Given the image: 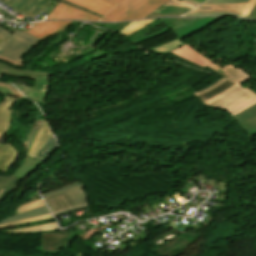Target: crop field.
Masks as SVG:
<instances>
[{"label": "crop field", "mask_w": 256, "mask_h": 256, "mask_svg": "<svg viewBox=\"0 0 256 256\" xmlns=\"http://www.w3.org/2000/svg\"><path fill=\"white\" fill-rule=\"evenodd\" d=\"M204 105L229 113L230 117L256 103V95L241 85L235 84L203 102Z\"/></svg>", "instance_id": "crop-field-1"}, {"label": "crop field", "mask_w": 256, "mask_h": 256, "mask_svg": "<svg viewBox=\"0 0 256 256\" xmlns=\"http://www.w3.org/2000/svg\"><path fill=\"white\" fill-rule=\"evenodd\" d=\"M119 5L101 21L142 19L167 0H108Z\"/></svg>", "instance_id": "crop-field-2"}, {"label": "crop field", "mask_w": 256, "mask_h": 256, "mask_svg": "<svg viewBox=\"0 0 256 256\" xmlns=\"http://www.w3.org/2000/svg\"><path fill=\"white\" fill-rule=\"evenodd\" d=\"M44 200L54 216L89 206L83 185L44 197Z\"/></svg>", "instance_id": "crop-field-3"}, {"label": "crop field", "mask_w": 256, "mask_h": 256, "mask_svg": "<svg viewBox=\"0 0 256 256\" xmlns=\"http://www.w3.org/2000/svg\"><path fill=\"white\" fill-rule=\"evenodd\" d=\"M171 52L180 57H183L193 63H196L204 68L207 66V67L219 72L227 79L232 80L237 83H241V82L253 77L249 73L243 71L241 68H239V67L235 68L234 66H232L230 64L227 65L226 67L220 69L215 64H213L210 60H208L207 58L202 56L200 53H198L197 51H195L193 48H191L188 45H184V46L177 48Z\"/></svg>", "instance_id": "crop-field-4"}, {"label": "crop field", "mask_w": 256, "mask_h": 256, "mask_svg": "<svg viewBox=\"0 0 256 256\" xmlns=\"http://www.w3.org/2000/svg\"><path fill=\"white\" fill-rule=\"evenodd\" d=\"M18 99L6 96L0 102V140L10 128V110L9 108ZM18 157V151L12 144L0 143V171L7 172L15 163Z\"/></svg>", "instance_id": "crop-field-5"}, {"label": "crop field", "mask_w": 256, "mask_h": 256, "mask_svg": "<svg viewBox=\"0 0 256 256\" xmlns=\"http://www.w3.org/2000/svg\"><path fill=\"white\" fill-rule=\"evenodd\" d=\"M41 41L17 30L6 42L0 44V56L23 63V55Z\"/></svg>", "instance_id": "crop-field-6"}, {"label": "crop field", "mask_w": 256, "mask_h": 256, "mask_svg": "<svg viewBox=\"0 0 256 256\" xmlns=\"http://www.w3.org/2000/svg\"><path fill=\"white\" fill-rule=\"evenodd\" d=\"M50 19H86L99 21L101 17L60 2V4L51 12L46 20Z\"/></svg>", "instance_id": "crop-field-7"}, {"label": "crop field", "mask_w": 256, "mask_h": 256, "mask_svg": "<svg viewBox=\"0 0 256 256\" xmlns=\"http://www.w3.org/2000/svg\"><path fill=\"white\" fill-rule=\"evenodd\" d=\"M71 23L72 21L41 22L34 25L25 33L42 41L45 38L56 34L59 29L64 31L65 29L69 28Z\"/></svg>", "instance_id": "crop-field-8"}, {"label": "crop field", "mask_w": 256, "mask_h": 256, "mask_svg": "<svg viewBox=\"0 0 256 256\" xmlns=\"http://www.w3.org/2000/svg\"><path fill=\"white\" fill-rule=\"evenodd\" d=\"M16 85V84H15ZM17 88L25 94L27 97L33 99L34 101L44 103L48 97V78L36 76V80L34 82L33 87L25 86V85H16Z\"/></svg>", "instance_id": "crop-field-9"}, {"label": "crop field", "mask_w": 256, "mask_h": 256, "mask_svg": "<svg viewBox=\"0 0 256 256\" xmlns=\"http://www.w3.org/2000/svg\"><path fill=\"white\" fill-rule=\"evenodd\" d=\"M232 119L249 138L256 135V104Z\"/></svg>", "instance_id": "crop-field-10"}, {"label": "crop field", "mask_w": 256, "mask_h": 256, "mask_svg": "<svg viewBox=\"0 0 256 256\" xmlns=\"http://www.w3.org/2000/svg\"><path fill=\"white\" fill-rule=\"evenodd\" d=\"M59 232L42 233L41 252L58 254L61 248H68L70 242L57 241Z\"/></svg>", "instance_id": "crop-field-11"}, {"label": "crop field", "mask_w": 256, "mask_h": 256, "mask_svg": "<svg viewBox=\"0 0 256 256\" xmlns=\"http://www.w3.org/2000/svg\"><path fill=\"white\" fill-rule=\"evenodd\" d=\"M223 17L219 18H202L178 31H175L176 35L179 39L183 40L207 27L214 24L218 20L222 19Z\"/></svg>", "instance_id": "crop-field-12"}, {"label": "crop field", "mask_w": 256, "mask_h": 256, "mask_svg": "<svg viewBox=\"0 0 256 256\" xmlns=\"http://www.w3.org/2000/svg\"><path fill=\"white\" fill-rule=\"evenodd\" d=\"M48 0H8L6 3L33 18Z\"/></svg>", "instance_id": "crop-field-13"}, {"label": "crop field", "mask_w": 256, "mask_h": 256, "mask_svg": "<svg viewBox=\"0 0 256 256\" xmlns=\"http://www.w3.org/2000/svg\"><path fill=\"white\" fill-rule=\"evenodd\" d=\"M71 3L81 5L95 13L105 15L108 13L115 5L108 3L104 0H66Z\"/></svg>", "instance_id": "crop-field-14"}, {"label": "crop field", "mask_w": 256, "mask_h": 256, "mask_svg": "<svg viewBox=\"0 0 256 256\" xmlns=\"http://www.w3.org/2000/svg\"><path fill=\"white\" fill-rule=\"evenodd\" d=\"M195 7L196 6L194 5H191L189 3H185L179 0H169L159 9H157L155 12L182 15Z\"/></svg>", "instance_id": "crop-field-15"}, {"label": "crop field", "mask_w": 256, "mask_h": 256, "mask_svg": "<svg viewBox=\"0 0 256 256\" xmlns=\"http://www.w3.org/2000/svg\"><path fill=\"white\" fill-rule=\"evenodd\" d=\"M51 134H52V132L49 129V127L44 119L32 145L29 149L30 151H29L28 155L35 158V156L38 154V152L43 147V145L46 143V141L51 136Z\"/></svg>", "instance_id": "crop-field-16"}, {"label": "crop field", "mask_w": 256, "mask_h": 256, "mask_svg": "<svg viewBox=\"0 0 256 256\" xmlns=\"http://www.w3.org/2000/svg\"><path fill=\"white\" fill-rule=\"evenodd\" d=\"M60 231L55 223V221L43 223L35 226H27L16 229H11L7 231H2V233H35V232H55Z\"/></svg>", "instance_id": "crop-field-17"}, {"label": "crop field", "mask_w": 256, "mask_h": 256, "mask_svg": "<svg viewBox=\"0 0 256 256\" xmlns=\"http://www.w3.org/2000/svg\"><path fill=\"white\" fill-rule=\"evenodd\" d=\"M247 4L237 5H213V6H200L199 8L192 11L193 13L202 12H234L242 14Z\"/></svg>", "instance_id": "crop-field-18"}, {"label": "crop field", "mask_w": 256, "mask_h": 256, "mask_svg": "<svg viewBox=\"0 0 256 256\" xmlns=\"http://www.w3.org/2000/svg\"><path fill=\"white\" fill-rule=\"evenodd\" d=\"M2 74L25 77L29 79H35V75H41V76H47V77L49 76V74L42 73V72H36V71H30V70H16L7 66L6 64L0 63V76Z\"/></svg>", "instance_id": "crop-field-19"}, {"label": "crop field", "mask_w": 256, "mask_h": 256, "mask_svg": "<svg viewBox=\"0 0 256 256\" xmlns=\"http://www.w3.org/2000/svg\"><path fill=\"white\" fill-rule=\"evenodd\" d=\"M20 181L13 176H0V201Z\"/></svg>", "instance_id": "crop-field-20"}, {"label": "crop field", "mask_w": 256, "mask_h": 256, "mask_svg": "<svg viewBox=\"0 0 256 256\" xmlns=\"http://www.w3.org/2000/svg\"><path fill=\"white\" fill-rule=\"evenodd\" d=\"M155 20L156 19L131 22L126 27H124L121 31H119V33L128 37V36L134 34L135 32H137L138 30L142 29L146 25L154 22Z\"/></svg>", "instance_id": "crop-field-21"}, {"label": "crop field", "mask_w": 256, "mask_h": 256, "mask_svg": "<svg viewBox=\"0 0 256 256\" xmlns=\"http://www.w3.org/2000/svg\"><path fill=\"white\" fill-rule=\"evenodd\" d=\"M58 149L57 144L53 137H50L44 147L41 149L39 154L37 155L36 159L40 161H44L48 158L54 151Z\"/></svg>", "instance_id": "crop-field-22"}, {"label": "crop field", "mask_w": 256, "mask_h": 256, "mask_svg": "<svg viewBox=\"0 0 256 256\" xmlns=\"http://www.w3.org/2000/svg\"><path fill=\"white\" fill-rule=\"evenodd\" d=\"M49 210L47 209L46 206L17 215V216H13V217H9V218H5L2 221H0V224L3 223H7V222H11V221H15V220H19V219H23V218H28V217H32V216H36V215H40V214H44V213H48Z\"/></svg>", "instance_id": "crop-field-23"}, {"label": "crop field", "mask_w": 256, "mask_h": 256, "mask_svg": "<svg viewBox=\"0 0 256 256\" xmlns=\"http://www.w3.org/2000/svg\"><path fill=\"white\" fill-rule=\"evenodd\" d=\"M182 45H184V44L181 42V40H179L177 38V39H174L170 42H167V43L161 44L159 46L150 48V50L158 52V53L163 55V54H165V53H167V52H169V51H171V50H173L177 47H180Z\"/></svg>", "instance_id": "crop-field-24"}, {"label": "crop field", "mask_w": 256, "mask_h": 256, "mask_svg": "<svg viewBox=\"0 0 256 256\" xmlns=\"http://www.w3.org/2000/svg\"><path fill=\"white\" fill-rule=\"evenodd\" d=\"M44 202L41 198L37 199V200H33L27 203H24L22 205H19V207L16 209V211L14 212V215L44 206Z\"/></svg>", "instance_id": "crop-field-25"}, {"label": "crop field", "mask_w": 256, "mask_h": 256, "mask_svg": "<svg viewBox=\"0 0 256 256\" xmlns=\"http://www.w3.org/2000/svg\"><path fill=\"white\" fill-rule=\"evenodd\" d=\"M47 219H52V216H51L50 213L44 214V215H40V216H36V217H32V218H28V219H24V220H19V221L7 223V224H3V225H0V228L20 225V224H25V223H29V222L47 220Z\"/></svg>", "instance_id": "crop-field-26"}, {"label": "crop field", "mask_w": 256, "mask_h": 256, "mask_svg": "<svg viewBox=\"0 0 256 256\" xmlns=\"http://www.w3.org/2000/svg\"><path fill=\"white\" fill-rule=\"evenodd\" d=\"M232 82V81H231ZM229 81L219 85L218 87H216L215 89H213L212 91L208 92V93H205L201 96H198L201 101L203 102L204 100H207L211 97H213L214 95H216L217 93H219L220 91L224 90L225 88L229 87L230 85L234 84V83H231Z\"/></svg>", "instance_id": "crop-field-27"}, {"label": "crop field", "mask_w": 256, "mask_h": 256, "mask_svg": "<svg viewBox=\"0 0 256 256\" xmlns=\"http://www.w3.org/2000/svg\"><path fill=\"white\" fill-rule=\"evenodd\" d=\"M0 92L5 94L15 95L17 97L26 98L22 96L20 92L17 91L12 84H9V83L0 82Z\"/></svg>", "instance_id": "crop-field-28"}, {"label": "crop field", "mask_w": 256, "mask_h": 256, "mask_svg": "<svg viewBox=\"0 0 256 256\" xmlns=\"http://www.w3.org/2000/svg\"><path fill=\"white\" fill-rule=\"evenodd\" d=\"M250 0H208L202 5L249 3Z\"/></svg>", "instance_id": "crop-field-29"}, {"label": "crop field", "mask_w": 256, "mask_h": 256, "mask_svg": "<svg viewBox=\"0 0 256 256\" xmlns=\"http://www.w3.org/2000/svg\"><path fill=\"white\" fill-rule=\"evenodd\" d=\"M169 31H171V29L168 27V28H166V29H164V30H161V31L156 32V33H154V34H151V35H149V36H147V37H144V38H142V39H139V40H137V41H134L133 43L138 44V43H141V42H143V41L149 40V39H151V38H153V37H155V36H158V35L167 33V32H169Z\"/></svg>", "instance_id": "crop-field-30"}, {"label": "crop field", "mask_w": 256, "mask_h": 256, "mask_svg": "<svg viewBox=\"0 0 256 256\" xmlns=\"http://www.w3.org/2000/svg\"><path fill=\"white\" fill-rule=\"evenodd\" d=\"M226 80H227V79H226ZM226 80H224V79L222 78V79H220L219 81L215 82L214 84H212V85H210V86H208V87L202 89L201 91H199V92H197V93H195V94H196V96H197V95H201V94H203V93H205V92H207V91H209V90L215 88L216 86H218L219 84L225 82Z\"/></svg>", "instance_id": "crop-field-31"}, {"label": "crop field", "mask_w": 256, "mask_h": 256, "mask_svg": "<svg viewBox=\"0 0 256 256\" xmlns=\"http://www.w3.org/2000/svg\"><path fill=\"white\" fill-rule=\"evenodd\" d=\"M203 15H230V16L240 17L239 14H234V13H202V14L188 13L184 16H203Z\"/></svg>", "instance_id": "crop-field-32"}, {"label": "crop field", "mask_w": 256, "mask_h": 256, "mask_svg": "<svg viewBox=\"0 0 256 256\" xmlns=\"http://www.w3.org/2000/svg\"><path fill=\"white\" fill-rule=\"evenodd\" d=\"M78 185H81V184L78 182V183H75V184H72V185H69V186L57 189L55 191H52V192H50L48 194L43 195L42 197L50 195V194H53V193H56V192H59V191H62V190H66V189H69V188H72V187H75V186H78Z\"/></svg>", "instance_id": "crop-field-33"}, {"label": "crop field", "mask_w": 256, "mask_h": 256, "mask_svg": "<svg viewBox=\"0 0 256 256\" xmlns=\"http://www.w3.org/2000/svg\"><path fill=\"white\" fill-rule=\"evenodd\" d=\"M256 2V0H251L250 3L248 4V6L246 7L245 11L243 12V14L241 15V17L245 18L246 15L248 14L249 10L251 9V7L254 5V3Z\"/></svg>", "instance_id": "crop-field-34"}, {"label": "crop field", "mask_w": 256, "mask_h": 256, "mask_svg": "<svg viewBox=\"0 0 256 256\" xmlns=\"http://www.w3.org/2000/svg\"><path fill=\"white\" fill-rule=\"evenodd\" d=\"M247 18L255 19L256 20V3L250 10L249 14L247 15Z\"/></svg>", "instance_id": "crop-field-35"}, {"label": "crop field", "mask_w": 256, "mask_h": 256, "mask_svg": "<svg viewBox=\"0 0 256 256\" xmlns=\"http://www.w3.org/2000/svg\"><path fill=\"white\" fill-rule=\"evenodd\" d=\"M9 35H10V33L5 31L4 29L0 28V39L2 41H4Z\"/></svg>", "instance_id": "crop-field-36"}, {"label": "crop field", "mask_w": 256, "mask_h": 256, "mask_svg": "<svg viewBox=\"0 0 256 256\" xmlns=\"http://www.w3.org/2000/svg\"><path fill=\"white\" fill-rule=\"evenodd\" d=\"M0 60L8 62V63H11V64H14V65H17V66H20V67L24 66L23 64H19V63L15 62V61H12V60H9V59L3 58V57H0Z\"/></svg>", "instance_id": "crop-field-37"}, {"label": "crop field", "mask_w": 256, "mask_h": 256, "mask_svg": "<svg viewBox=\"0 0 256 256\" xmlns=\"http://www.w3.org/2000/svg\"><path fill=\"white\" fill-rule=\"evenodd\" d=\"M59 1H62V2L67 3V4H70V5H72V6H75V7H77V8L82 9V10L88 11V12H90V13H93V12H91V11H89V10H86V9H84V8L78 6V5H74V4L68 3V2L63 1V0H59ZM93 14H95V13H93ZM95 15H98V14H95ZM98 16H100V15H98ZM101 17H103V16H101Z\"/></svg>", "instance_id": "crop-field-38"}, {"label": "crop field", "mask_w": 256, "mask_h": 256, "mask_svg": "<svg viewBox=\"0 0 256 256\" xmlns=\"http://www.w3.org/2000/svg\"><path fill=\"white\" fill-rule=\"evenodd\" d=\"M194 1H196V2H198V3H200V4H202L205 0H194Z\"/></svg>", "instance_id": "crop-field-39"}, {"label": "crop field", "mask_w": 256, "mask_h": 256, "mask_svg": "<svg viewBox=\"0 0 256 256\" xmlns=\"http://www.w3.org/2000/svg\"><path fill=\"white\" fill-rule=\"evenodd\" d=\"M0 42H2V41L0 40Z\"/></svg>", "instance_id": "crop-field-40"}]
</instances>
